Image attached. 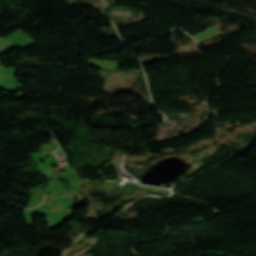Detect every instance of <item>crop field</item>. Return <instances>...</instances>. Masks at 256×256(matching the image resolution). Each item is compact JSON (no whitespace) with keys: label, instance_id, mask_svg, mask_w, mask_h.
Wrapping results in <instances>:
<instances>
[{"label":"crop field","instance_id":"8a807250","mask_svg":"<svg viewBox=\"0 0 256 256\" xmlns=\"http://www.w3.org/2000/svg\"><path fill=\"white\" fill-rule=\"evenodd\" d=\"M43 153V152H42ZM45 154V153H44Z\"/></svg>","mask_w":256,"mask_h":256}]
</instances>
